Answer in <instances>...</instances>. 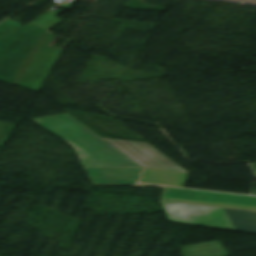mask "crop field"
I'll return each mask as SVG.
<instances>
[{
	"instance_id": "obj_1",
	"label": "crop field",
	"mask_w": 256,
	"mask_h": 256,
	"mask_svg": "<svg viewBox=\"0 0 256 256\" xmlns=\"http://www.w3.org/2000/svg\"><path fill=\"white\" fill-rule=\"evenodd\" d=\"M33 121L73 145L84 167H144L187 172L147 143L101 138L68 113Z\"/></svg>"
},
{
	"instance_id": "obj_2",
	"label": "crop field",
	"mask_w": 256,
	"mask_h": 256,
	"mask_svg": "<svg viewBox=\"0 0 256 256\" xmlns=\"http://www.w3.org/2000/svg\"><path fill=\"white\" fill-rule=\"evenodd\" d=\"M51 11L0 39V80L39 91L63 50L47 48L49 29L61 22Z\"/></svg>"
},
{
	"instance_id": "obj_3",
	"label": "crop field",
	"mask_w": 256,
	"mask_h": 256,
	"mask_svg": "<svg viewBox=\"0 0 256 256\" xmlns=\"http://www.w3.org/2000/svg\"><path fill=\"white\" fill-rule=\"evenodd\" d=\"M172 221L234 230L223 208L162 200Z\"/></svg>"
},
{
	"instance_id": "obj_4",
	"label": "crop field",
	"mask_w": 256,
	"mask_h": 256,
	"mask_svg": "<svg viewBox=\"0 0 256 256\" xmlns=\"http://www.w3.org/2000/svg\"><path fill=\"white\" fill-rule=\"evenodd\" d=\"M161 199L256 210V196L165 187Z\"/></svg>"
},
{
	"instance_id": "obj_5",
	"label": "crop field",
	"mask_w": 256,
	"mask_h": 256,
	"mask_svg": "<svg viewBox=\"0 0 256 256\" xmlns=\"http://www.w3.org/2000/svg\"><path fill=\"white\" fill-rule=\"evenodd\" d=\"M143 168H86L93 184H136Z\"/></svg>"
},
{
	"instance_id": "obj_6",
	"label": "crop field",
	"mask_w": 256,
	"mask_h": 256,
	"mask_svg": "<svg viewBox=\"0 0 256 256\" xmlns=\"http://www.w3.org/2000/svg\"><path fill=\"white\" fill-rule=\"evenodd\" d=\"M189 174L146 169L140 182L183 187Z\"/></svg>"
},
{
	"instance_id": "obj_7",
	"label": "crop field",
	"mask_w": 256,
	"mask_h": 256,
	"mask_svg": "<svg viewBox=\"0 0 256 256\" xmlns=\"http://www.w3.org/2000/svg\"><path fill=\"white\" fill-rule=\"evenodd\" d=\"M182 256H229L218 242H208L181 247Z\"/></svg>"
},
{
	"instance_id": "obj_8",
	"label": "crop field",
	"mask_w": 256,
	"mask_h": 256,
	"mask_svg": "<svg viewBox=\"0 0 256 256\" xmlns=\"http://www.w3.org/2000/svg\"><path fill=\"white\" fill-rule=\"evenodd\" d=\"M235 230L256 233V213L225 209Z\"/></svg>"
},
{
	"instance_id": "obj_9",
	"label": "crop field",
	"mask_w": 256,
	"mask_h": 256,
	"mask_svg": "<svg viewBox=\"0 0 256 256\" xmlns=\"http://www.w3.org/2000/svg\"><path fill=\"white\" fill-rule=\"evenodd\" d=\"M19 27H21L20 23L10 19L6 20L5 22L0 24V37L12 33Z\"/></svg>"
},
{
	"instance_id": "obj_10",
	"label": "crop field",
	"mask_w": 256,
	"mask_h": 256,
	"mask_svg": "<svg viewBox=\"0 0 256 256\" xmlns=\"http://www.w3.org/2000/svg\"><path fill=\"white\" fill-rule=\"evenodd\" d=\"M2 123V122H0ZM6 123H2L0 126V130L2 129L3 125ZM10 124H7L6 127L4 128V130L2 131V133L0 134V140L2 138V136L4 135L5 131L7 130L8 126ZM15 128L14 125L11 126V128L9 129V131L7 132V134L5 135L4 139L2 140V142L0 143V148H2V146L4 145V143L6 142V140L8 139L9 135L11 134V132L13 131V129Z\"/></svg>"
},
{
	"instance_id": "obj_11",
	"label": "crop field",
	"mask_w": 256,
	"mask_h": 256,
	"mask_svg": "<svg viewBox=\"0 0 256 256\" xmlns=\"http://www.w3.org/2000/svg\"><path fill=\"white\" fill-rule=\"evenodd\" d=\"M252 167H253V169H254L255 172H256V164H253Z\"/></svg>"
},
{
	"instance_id": "obj_12",
	"label": "crop field",
	"mask_w": 256,
	"mask_h": 256,
	"mask_svg": "<svg viewBox=\"0 0 256 256\" xmlns=\"http://www.w3.org/2000/svg\"><path fill=\"white\" fill-rule=\"evenodd\" d=\"M252 195H256V191H254V192L252 193Z\"/></svg>"
}]
</instances>
